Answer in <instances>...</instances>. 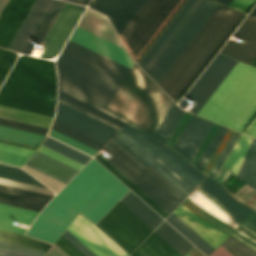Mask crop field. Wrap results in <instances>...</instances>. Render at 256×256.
Segmentation results:
<instances>
[{
  "label": "crop field",
  "instance_id": "crop-field-1",
  "mask_svg": "<svg viewBox=\"0 0 256 256\" xmlns=\"http://www.w3.org/2000/svg\"><path fill=\"white\" fill-rule=\"evenodd\" d=\"M58 101L118 130L127 122L106 109L129 69L68 40L57 62ZM70 91L82 99L64 91Z\"/></svg>",
  "mask_w": 256,
  "mask_h": 256
},
{
  "label": "crop field",
  "instance_id": "crop-field-2",
  "mask_svg": "<svg viewBox=\"0 0 256 256\" xmlns=\"http://www.w3.org/2000/svg\"><path fill=\"white\" fill-rule=\"evenodd\" d=\"M242 15L243 13L220 4L163 77L158 85L175 102Z\"/></svg>",
  "mask_w": 256,
  "mask_h": 256
},
{
  "label": "crop field",
  "instance_id": "crop-field-3",
  "mask_svg": "<svg viewBox=\"0 0 256 256\" xmlns=\"http://www.w3.org/2000/svg\"><path fill=\"white\" fill-rule=\"evenodd\" d=\"M54 62L20 56L0 90V104L54 117Z\"/></svg>",
  "mask_w": 256,
  "mask_h": 256
},
{
  "label": "crop field",
  "instance_id": "crop-field-4",
  "mask_svg": "<svg viewBox=\"0 0 256 256\" xmlns=\"http://www.w3.org/2000/svg\"><path fill=\"white\" fill-rule=\"evenodd\" d=\"M218 5L212 0H188L140 60L138 64L157 84Z\"/></svg>",
  "mask_w": 256,
  "mask_h": 256
},
{
  "label": "crop field",
  "instance_id": "crop-field-5",
  "mask_svg": "<svg viewBox=\"0 0 256 256\" xmlns=\"http://www.w3.org/2000/svg\"><path fill=\"white\" fill-rule=\"evenodd\" d=\"M153 85L170 101H168ZM108 106L107 110L123 117L141 129L153 135L154 131L165 117L172 101L161 91V89L141 70L136 64Z\"/></svg>",
  "mask_w": 256,
  "mask_h": 256
},
{
  "label": "crop field",
  "instance_id": "crop-field-6",
  "mask_svg": "<svg viewBox=\"0 0 256 256\" xmlns=\"http://www.w3.org/2000/svg\"><path fill=\"white\" fill-rule=\"evenodd\" d=\"M128 191L92 159L58 196L96 224Z\"/></svg>",
  "mask_w": 256,
  "mask_h": 256
},
{
  "label": "crop field",
  "instance_id": "crop-field-7",
  "mask_svg": "<svg viewBox=\"0 0 256 256\" xmlns=\"http://www.w3.org/2000/svg\"><path fill=\"white\" fill-rule=\"evenodd\" d=\"M256 113V69L240 63L200 116L239 132Z\"/></svg>",
  "mask_w": 256,
  "mask_h": 256
},
{
  "label": "crop field",
  "instance_id": "crop-field-8",
  "mask_svg": "<svg viewBox=\"0 0 256 256\" xmlns=\"http://www.w3.org/2000/svg\"><path fill=\"white\" fill-rule=\"evenodd\" d=\"M116 136L186 196L205 177V175L196 171L180 154L131 123H127ZM155 159L171 171L191 190Z\"/></svg>",
  "mask_w": 256,
  "mask_h": 256
},
{
  "label": "crop field",
  "instance_id": "crop-field-9",
  "mask_svg": "<svg viewBox=\"0 0 256 256\" xmlns=\"http://www.w3.org/2000/svg\"><path fill=\"white\" fill-rule=\"evenodd\" d=\"M179 0H147L121 33L136 58Z\"/></svg>",
  "mask_w": 256,
  "mask_h": 256
},
{
  "label": "crop field",
  "instance_id": "crop-field-10",
  "mask_svg": "<svg viewBox=\"0 0 256 256\" xmlns=\"http://www.w3.org/2000/svg\"><path fill=\"white\" fill-rule=\"evenodd\" d=\"M97 226L128 254L153 231L120 202Z\"/></svg>",
  "mask_w": 256,
  "mask_h": 256
},
{
  "label": "crop field",
  "instance_id": "crop-field-11",
  "mask_svg": "<svg viewBox=\"0 0 256 256\" xmlns=\"http://www.w3.org/2000/svg\"><path fill=\"white\" fill-rule=\"evenodd\" d=\"M236 63L237 61L218 54L213 62L209 65V67L205 70V72L201 75V77L197 80V82L193 85V87L189 90V92L185 95V97L181 100L179 103L180 107L185 108L187 104L193 100L197 103L192 107L190 111L197 114L209 99V97L225 79L228 73L236 65ZM238 64L239 62L222 82V84L218 87V89L214 92V94L210 97L203 108L199 111L198 115L215 95V93L219 90V88L223 85V83L227 80L234 69L238 66Z\"/></svg>",
  "mask_w": 256,
  "mask_h": 256
},
{
  "label": "crop field",
  "instance_id": "crop-field-12",
  "mask_svg": "<svg viewBox=\"0 0 256 256\" xmlns=\"http://www.w3.org/2000/svg\"><path fill=\"white\" fill-rule=\"evenodd\" d=\"M79 212L55 196L26 234L54 244Z\"/></svg>",
  "mask_w": 256,
  "mask_h": 256
},
{
  "label": "crop field",
  "instance_id": "crop-field-13",
  "mask_svg": "<svg viewBox=\"0 0 256 256\" xmlns=\"http://www.w3.org/2000/svg\"><path fill=\"white\" fill-rule=\"evenodd\" d=\"M55 120L80 131L104 144L111 138L117 143L124 151H126L133 159H135L141 166L147 171L151 167L142 158H140L135 152H133L127 145H125L116 136L113 138L117 130L94 120L72 108H69L58 102L57 113Z\"/></svg>",
  "mask_w": 256,
  "mask_h": 256
},
{
  "label": "crop field",
  "instance_id": "crop-field-14",
  "mask_svg": "<svg viewBox=\"0 0 256 256\" xmlns=\"http://www.w3.org/2000/svg\"><path fill=\"white\" fill-rule=\"evenodd\" d=\"M66 230L96 256H128L80 213Z\"/></svg>",
  "mask_w": 256,
  "mask_h": 256
},
{
  "label": "crop field",
  "instance_id": "crop-field-15",
  "mask_svg": "<svg viewBox=\"0 0 256 256\" xmlns=\"http://www.w3.org/2000/svg\"><path fill=\"white\" fill-rule=\"evenodd\" d=\"M85 8L66 3L43 42V45L47 46L41 55L42 58H53L59 53Z\"/></svg>",
  "mask_w": 256,
  "mask_h": 256
},
{
  "label": "crop field",
  "instance_id": "crop-field-16",
  "mask_svg": "<svg viewBox=\"0 0 256 256\" xmlns=\"http://www.w3.org/2000/svg\"><path fill=\"white\" fill-rule=\"evenodd\" d=\"M136 185L169 214L186 197L153 168Z\"/></svg>",
  "mask_w": 256,
  "mask_h": 256
},
{
  "label": "crop field",
  "instance_id": "crop-field-17",
  "mask_svg": "<svg viewBox=\"0 0 256 256\" xmlns=\"http://www.w3.org/2000/svg\"><path fill=\"white\" fill-rule=\"evenodd\" d=\"M233 36L245 40L244 43L240 44L229 40L220 52L249 64L256 55V6ZM250 65L256 67V56Z\"/></svg>",
  "mask_w": 256,
  "mask_h": 256
},
{
  "label": "crop field",
  "instance_id": "crop-field-18",
  "mask_svg": "<svg viewBox=\"0 0 256 256\" xmlns=\"http://www.w3.org/2000/svg\"><path fill=\"white\" fill-rule=\"evenodd\" d=\"M146 0H96L91 8L108 16L118 36Z\"/></svg>",
  "mask_w": 256,
  "mask_h": 256
},
{
  "label": "crop field",
  "instance_id": "crop-field-19",
  "mask_svg": "<svg viewBox=\"0 0 256 256\" xmlns=\"http://www.w3.org/2000/svg\"><path fill=\"white\" fill-rule=\"evenodd\" d=\"M34 1H8L0 15V46L8 48Z\"/></svg>",
  "mask_w": 256,
  "mask_h": 256
},
{
  "label": "crop field",
  "instance_id": "crop-field-20",
  "mask_svg": "<svg viewBox=\"0 0 256 256\" xmlns=\"http://www.w3.org/2000/svg\"><path fill=\"white\" fill-rule=\"evenodd\" d=\"M197 188L212 199L239 224L253 211L233 199L220 184L209 177Z\"/></svg>",
  "mask_w": 256,
  "mask_h": 256
},
{
  "label": "crop field",
  "instance_id": "crop-field-21",
  "mask_svg": "<svg viewBox=\"0 0 256 256\" xmlns=\"http://www.w3.org/2000/svg\"><path fill=\"white\" fill-rule=\"evenodd\" d=\"M212 126L213 123L193 115L187 127L185 126L184 132L182 131L183 133L179 140L177 139L178 141L173 149L181 153L191 162L195 152L200 147Z\"/></svg>",
  "mask_w": 256,
  "mask_h": 256
},
{
  "label": "crop field",
  "instance_id": "crop-field-22",
  "mask_svg": "<svg viewBox=\"0 0 256 256\" xmlns=\"http://www.w3.org/2000/svg\"><path fill=\"white\" fill-rule=\"evenodd\" d=\"M71 40L131 69L133 62L125 52V50L98 38L77 27L76 31L71 37Z\"/></svg>",
  "mask_w": 256,
  "mask_h": 256
},
{
  "label": "crop field",
  "instance_id": "crop-field-23",
  "mask_svg": "<svg viewBox=\"0 0 256 256\" xmlns=\"http://www.w3.org/2000/svg\"><path fill=\"white\" fill-rule=\"evenodd\" d=\"M51 196L0 185V203L40 212Z\"/></svg>",
  "mask_w": 256,
  "mask_h": 256
},
{
  "label": "crop field",
  "instance_id": "crop-field-24",
  "mask_svg": "<svg viewBox=\"0 0 256 256\" xmlns=\"http://www.w3.org/2000/svg\"><path fill=\"white\" fill-rule=\"evenodd\" d=\"M215 249L229 235L205 223L183 203L173 212Z\"/></svg>",
  "mask_w": 256,
  "mask_h": 256
},
{
  "label": "crop field",
  "instance_id": "crop-field-25",
  "mask_svg": "<svg viewBox=\"0 0 256 256\" xmlns=\"http://www.w3.org/2000/svg\"><path fill=\"white\" fill-rule=\"evenodd\" d=\"M65 2L51 0L45 9L43 15L29 36L27 42L21 50V53L29 54L34 48L36 43L42 44L48 30L62 10Z\"/></svg>",
  "mask_w": 256,
  "mask_h": 256
},
{
  "label": "crop field",
  "instance_id": "crop-field-26",
  "mask_svg": "<svg viewBox=\"0 0 256 256\" xmlns=\"http://www.w3.org/2000/svg\"><path fill=\"white\" fill-rule=\"evenodd\" d=\"M26 165L65 184L77 172V170L38 151H36Z\"/></svg>",
  "mask_w": 256,
  "mask_h": 256
},
{
  "label": "crop field",
  "instance_id": "crop-field-27",
  "mask_svg": "<svg viewBox=\"0 0 256 256\" xmlns=\"http://www.w3.org/2000/svg\"><path fill=\"white\" fill-rule=\"evenodd\" d=\"M103 149L113 156L107 160L134 184L147 172L112 140Z\"/></svg>",
  "mask_w": 256,
  "mask_h": 256
},
{
  "label": "crop field",
  "instance_id": "crop-field-28",
  "mask_svg": "<svg viewBox=\"0 0 256 256\" xmlns=\"http://www.w3.org/2000/svg\"><path fill=\"white\" fill-rule=\"evenodd\" d=\"M78 26L123 48L107 18L90 9H86Z\"/></svg>",
  "mask_w": 256,
  "mask_h": 256
},
{
  "label": "crop field",
  "instance_id": "crop-field-29",
  "mask_svg": "<svg viewBox=\"0 0 256 256\" xmlns=\"http://www.w3.org/2000/svg\"><path fill=\"white\" fill-rule=\"evenodd\" d=\"M50 0H36L32 6L30 12L22 23L20 29L18 30L16 36L11 42L9 49L20 52L24 43L26 42L28 36L42 15L44 9Z\"/></svg>",
  "mask_w": 256,
  "mask_h": 256
},
{
  "label": "crop field",
  "instance_id": "crop-field-30",
  "mask_svg": "<svg viewBox=\"0 0 256 256\" xmlns=\"http://www.w3.org/2000/svg\"><path fill=\"white\" fill-rule=\"evenodd\" d=\"M37 214V212L0 204V229L24 234L26 229L13 226L14 222L30 225Z\"/></svg>",
  "mask_w": 256,
  "mask_h": 256
},
{
  "label": "crop field",
  "instance_id": "crop-field-31",
  "mask_svg": "<svg viewBox=\"0 0 256 256\" xmlns=\"http://www.w3.org/2000/svg\"><path fill=\"white\" fill-rule=\"evenodd\" d=\"M153 230L163 221L152 209L129 191L120 201Z\"/></svg>",
  "mask_w": 256,
  "mask_h": 256
},
{
  "label": "crop field",
  "instance_id": "crop-field-32",
  "mask_svg": "<svg viewBox=\"0 0 256 256\" xmlns=\"http://www.w3.org/2000/svg\"><path fill=\"white\" fill-rule=\"evenodd\" d=\"M131 256H182L154 232Z\"/></svg>",
  "mask_w": 256,
  "mask_h": 256
},
{
  "label": "crop field",
  "instance_id": "crop-field-33",
  "mask_svg": "<svg viewBox=\"0 0 256 256\" xmlns=\"http://www.w3.org/2000/svg\"><path fill=\"white\" fill-rule=\"evenodd\" d=\"M0 116L47 127V128L50 127V124L53 119L51 117H47V116L19 110V109H15V108L3 106V105H0Z\"/></svg>",
  "mask_w": 256,
  "mask_h": 256
},
{
  "label": "crop field",
  "instance_id": "crop-field-34",
  "mask_svg": "<svg viewBox=\"0 0 256 256\" xmlns=\"http://www.w3.org/2000/svg\"><path fill=\"white\" fill-rule=\"evenodd\" d=\"M183 256L193 247L181 234H179L166 221H163L154 231Z\"/></svg>",
  "mask_w": 256,
  "mask_h": 256
},
{
  "label": "crop field",
  "instance_id": "crop-field-35",
  "mask_svg": "<svg viewBox=\"0 0 256 256\" xmlns=\"http://www.w3.org/2000/svg\"><path fill=\"white\" fill-rule=\"evenodd\" d=\"M166 221L170 223L175 229H177L182 235H184L207 256H209L215 250L173 213L166 219Z\"/></svg>",
  "mask_w": 256,
  "mask_h": 256
},
{
  "label": "crop field",
  "instance_id": "crop-field-36",
  "mask_svg": "<svg viewBox=\"0 0 256 256\" xmlns=\"http://www.w3.org/2000/svg\"><path fill=\"white\" fill-rule=\"evenodd\" d=\"M237 176L256 188V139L254 138Z\"/></svg>",
  "mask_w": 256,
  "mask_h": 256
},
{
  "label": "crop field",
  "instance_id": "crop-field-37",
  "mask_svg": "<svg viewBox=\"0 0 256 256\" xmlns=\"http://www.w3.org/2000/svg\"><path fill=\"white\" fill-rule=\"evenodd\" d=\"M0 241L47 252L52 246L26 235L0 230Z\"/></svg>",
  "mask_w": 256,
  "mask_h": 256
},
{
  "label": "crop field",
  "instance_id": "crop-field-38",
  "mask_svg": "<svg viewBox=\"0 0 256 256\" xmlns=\"http://www.w3.org/2000/svg\"><path fill=\"white\" fill-rule=\"evenodd\" d=\"M251 139V137L241 135L240 139L236 143L235 147L233 148L232 152L230 153L229 157L223 165L224 167L232 170L235 175L239 170V167L246 154Z\"/></svg>",
  "mask_w": 256,
  "mask_h": 256
},
{
  "label": "crop field",
  "instance_id": "crop-field-39",
  "mask_svg": "<svg viewBox=\"0 0 256 256\" xmlns=\"http://www.w3.org/2000/svg\"><path fill=\"white\" fill-rule=\"evenodd\" d=\"M0 137L39 146L45 136L0 126Z\"/></svg>",
  "mask_w": 256,
  "mask_h": 256
},
{
  "label": "crop field",
  "instance_id": "crop-field-40",
  "mask_svg": "<svg viewBox=\"0 0 256 256\" xmlns=\"http://www.w3.org/2000/svg\"><path fill=\"white\" fill-rule=\"evenodd\" d=\"M183 113V110L179 109L175 104H173L172 108L164 118L154 137L165 143Z\"/></svg>",
  "mask_w": 256,
  "mask_h": 256
},
{
  "label": "crop field",
  "instance_id": "crop-field-41",
  "mask_svg": "<svg viewBox=\"0 0 256 256\" xmlns=\"http://www.w3.org/2000/svg\"><path fill=\"white\" fill-rule=\"evenodd\" d=\"M51 128L72 138V139H75V140H77V141L97 150V151H99L104 146V144H102V143L82 134V133H79V132H77V131H75V130L55 121V120L53 121Z\"/></svg>",
  "mask_w": 256,
  "mask_h": 256
},
{
  "label": "crop field",
  "instance_id": "crop-field-42",
  "mask_svg": "<svg viewBox=\"0 0 256 256\" xmlns=\"http://www.w3.org/2000/svg\"><path fill=\"white\" fill-rule=\"evenodd\" d=\"M0 177L45 187L21 169L0 164Z\"/></svg>",
  "mask_w": 256,
  "mask_h": 256
},
{
  "label": "crop field",
  "instance_id": "crop-field-43",
  "mask_svg": "<svg viewBox=\"0 0 256 256\" xmlns=\"http://www.w3.org/2000/svg\"><path fill=\"white\" fill-rule=\"evenodd\" d=\"M43 145L55 150V151H58L68 157H71L83 164H85L89 159L90 157L77 151V150H74L64 144H61L49 137L46 138V140L44 141Z\"/></svg>",
  "mask_w": 256,
  "mask_h": 256
},
{
  "label": "crop field",
  "instance_id": "crop-field-44",
  "mask_svg": "<svg viewBox=\"0 0 256 256\" xmlns=\"http://www.w3.org/2000/svg\"><path fill=\"white\" fill-rule=\"evenodd\" d=\"M232 256H256V252L233 237H229L221 245Z\"/></svg>",
  "mask_w": 256,
  "mask_h": 256
},
{
  "label": "crop field",
  "instance_id": "crop-field-45",
  "mask_svg": "<svg viewBox=\"0 0 256 256\" xmlns=\"http://www.w3.org/2000/svg\"><path fill=\"white\" fill-rule=\"evenodd\" d=\"M226 131H227V128H224V127L220 126L217 133L215 134V136L211 140L210 144L206 148L205 152L203 153V155L199 159V161H198V163L196 164L195 167L197 169H199L201 172H202L203 168L205 167V165L207 164L208 160L210 159L211 155L215 151V149L218 146L219 142L221 141L222 137L226 133Z\"/></svg>",
  "mask_w": 256,
  "mask_h": 256
},
{
  "label": "crop field",
  "instance_id": "crop-field-46",
  "mask_svg": "<svg viewBox=\"0 0 256 256\" xmlns=\"http://www.w3.org/2000/svg\"><path fill=\"white\" fill-rule=\"evenodd\" d=\"M16 57L17 54L13 51L0 48V86L13 65Z\"/></svg>",
  "mask_w": 256,
  "mask_h": 256
},
{
  "label": "crop field",
  "instance_id": "crop-field-47",
  "mask_svg": "<svg viewBox=\"0 0 256 256\" xmlns=\"http://www.w3.org/2000/svg\"><path fill=\"white\" fill-rule=\"evenodd\" d=\"M185 205H187L191 210H193L196 214H198L200 217H202L207 222L221 228L222 230L228 232L231 234L233 229L227 227L223 222L213 218L211 215H209L207 212H205L203 209L197 207L193 202H191L188 198L183 202ZM193 212V213H194Z\"/></svg>",
  "mask_w": 256,
  "mask_h": 256
},
{
  "label": "crop field",
  "instance_id": "crop-field-48",
  "mask_svg": "<svg viewBox=\"0 0 256 256\" xmlns=\"http://www.w3.org/2000/svg\"><path fill=\"white\" fill-rule=\"evenodd\" d=\"M234 134H235V131H232V130L228 129L227 133L225 134V136L222 139L221 143L219 144L218 148L216 149V151L214 152L210 161L208 162L207 166L205 167L203 173L209 175L212 168L214 167V165L218 161L219 157L221 156V154L225 150L226 146L228 145V143L230 142V140L232 139Z\"/></svg>",
  "mask_w": 256,
  "mask_h": 256
},
{
  "label": "crop field",
  "instance_id": "crop-field-49",
  "mask_svg": "<svg viewBox=\"0 0 256 256\" xmlns=\"http://www.w3.org/2000/svg\"><path fill=\"white\" fill-rule=\"evenodd\" d=\"M0 125L13 127V128H17V129H22V130H26V131H31V132H35V133H40V134H44V135H46L49 130L47 128H43V127L31 125V124H26V123H22V122L10 120V119H5V118H1V117H0Z\"/></svg>",
  "mask_w": 256,
  "mask_h": 256
},
{
  "label": "crop field",
  "instance_id": "crop-field-50",
  "mask_svg": "<svg viewBox=\"0 0 256 256\" xmlns=\"http://www.w3.org/2000/svg\"><path fill=\"white\" fill-rule=\"evenodd\" d=\"M48 135L66 143L68 145H71V146H73V147L91 155V156H94L97 153V151H95V150H93V149H91V148H89V147H87V146H85V145H83V144H81L77 141H74V140H72V139H70V138L52 130V129L50 130Z\"/></svg>",
  "mask_w": 256,
  "mask_h": 256
},
{
  "label": "crop field",
  "instance_id": "crop-field-51",
  "mask_svg": "<svg viewBox=\"0 0 256 256\" xmlns=\"http://www.w3.org/2000/svg\"><path fill=\"white\" fill-rule=\"evenodd\" d=\"M38 151H40V152H42V153H44L48 156H51V157L65 163V164L77 169V170H79L83 166V164H81V163H79V162H77V161H75L71 158H68V157H66V156H64V155H62L58 152H55V151H53V150H51V149H49V148H47L43 145L40 146Z\"/></svg>",
  "mask_w": 256,
  "mask_h": 256
},
{
  "label": "crop field",
  "instance_id": "crop-field-52",
  "mask_svg": "<svg viewBox=\"0 0 256 256\" xmlns=\"http://www.w3.org/2000/svg\"><path fill=\"white\" fill-rule=\"evenodd\" d=\"M0 183L53 196V193L49 189L38 187V186H33V185L16 182L8 179H3V178H0Z\"/></svg>",
  "mask_w": 256,
  "mask_h": 256
},
{
  "label": "crop field",
  "instance_id": "crop-field-53",
  "mask_svg": "<svg viewBox=\"0 0 256 256\" xmlns=\"http://www.w3.org/2000/svg\"><path fill=\"white\" fill-rule=\"evenodd\" d=\"M134 193H136L142 200H144L150 207H152L158 214H160L163 218H166L169 214L164 211L158 204H156L149 196H147L141 189H139L136 185L132 189Z\"/></svg>",
  "mask_w": 256,
  "mask_h": 256
},
{
  "label": "crop field",
  "instance_id": "crop-field-54",
  "mask_svg": "<svg viewBox=\"0 0 256 256\" xmlns=\"http://www.w3.org/2000/svg\"><path fill=\"white\" fill-rule=\"evenodd\" d=\"M0 151L27 157V158H30L31 155L34 153L33 150H29V149L9 145V144H4V143H0Z\"/></svg>",
  "mask_w": 256,
  "mask_h": 256
},
{
  "label": "crop field",
  "instance_id": "crop-field-55",
  "mask_svg": "<svg viewBox=\"0 0 256 256\" xmlns=\"http://www.w3.org/2000/svg\"><path fill=\"white\" fill-rule=\"evenodd\" d=\"M98 161H100L107 169H109L115 176H117L124 184H126L129 188H131L134 184L129 181L122 173H120L113 165H111L104 157H102L99 153L95 157ZM99 162V163H100Z\"/></svg>",
  "mask_w": 256,
  "mask_h": 256
},
{
  "label": "crop field",
  "instance_id": "crop-field-56",
  "mask_svg": "<svg viewBox=\"0 0 256 256\" xmlns=\"http://www.w3.org/2000/svg\"><path fill=\"white\" fill-rule=\"evenodd\" d=\"M27 158L19 157V156H14L6 153H1L0 152V162L17 166V167H22V165L27 161Z\"/></svg>",
  "mask_w": 256,
  "mask_h": 256
},
{
  "label": "crop field",
  "instance_id": "crop-field-57",
  "mask_svg": "<svg viewBox=\"0 0 256 256\" xmlns=\"http://www.w3.org/2000/svg\"><path fill=\"white\" fill-rule=\"evenodd\" d=\"M59 246L64 252H66L69 256H84L80 253L74 246H72L66 239L62 236L59 240L55 243Z\"/></svg>",
  "mask_w": 256,
  "mask_h": 256
},
{
  "label": "crop field",
  "instance_id": "crop-field-58",
  "mask_svg": "<svg viewBox=\"0 0 256 256\" xmlns=\"http://www.w3.org/2000/svg\"><path fill=\"white\" fill-rule=\"evenodd\" d=\"M62 236L64 238H66L72 245H74L85 256H95L86 247H84L78 240H76L70 233H68L66 230Z\"/></svg>",
  "mask_w": 256,
  "mask_h": 256
},
{
  "label": "crop field",
  "instance_id": "crop-field-59",
  "mask_svg": "<svg viewBox=\"0 0 256 256\" xmlns=\"http://www.w3.org/2000/svg\"><path fill=\"white\" fill-rule=\"evenodd\" d=\"M0 247L10 249V250H14V251L27 253V254H32V255H36V256H44V254H45L44 253L45 251L40 252V251H36V250H32V249H28V248H24V247H20V246H15V245L3 243V242H0Z\"/></svg>",
  "mask_w": 256,
  "mask_h": 256
},
{
  "label": "crop field",
  "instance_id": "crop-field-60",
  "mask_svg": "<svg viewBox=\"0 0 256 256\" xmlns=\"http://www.w3.org/2000/svg\"><path fill=\"white\" fill-rule=\"evenodd\" d=\"M254 1L255 0H232L229 6L246 13Z\"/></svg>",
  "mask_w": 256,
  "mask_h": 256
},
{
  "label": "crop field",
  "instance_id": "crop-field-61",
  "mask_svg": "<svg viewBox=\"0 0 256 256\" xmlns=\"http://www.w3.org/2000/svg\"><path fill=\"white\" fill-rule=\"evenodd\" d=\"M239 136V133L236 132V134L234 135L233 139L231 140V142L229 143V145L227 146L226 150L224 151V153L222 154V156L220 157L219 161L217 162V164L215 165V167L213 168L212 172L210 173V176L214 177L215 173L217 172V170L219 169L220 165L222 164V162L224 161L225 157L227 156L228 152L230 151V149L232 148L233 144L235 143V141L237 140Z\"/></svg>",
  "mask_w": 256,
  "mask_h": 256
},
{
  "label": "crop field",
  "instance_id": "crop-field-62",
  "mask_svg": "<svg viewBox=\"0 0 256 256\" xmlns=\"http://www.w3.org/2000/svg\"><path fill=\"white\" fill-rule=\"evenodd\" d=\"M241 226L256 236V213L254 212Z\"/></svg>",
  "mask_w": 256,
  "mask_h": 256
},
{
  "label": "crop field",
  "instance_id": "crop-field-63",
  "mask_svg": "<svg viewBox=\"0 0 256 256\" xmlns=\"http://www.w3.org/2000/svg\"><path fill=\"white\" fill-rule=\"evenodd\" d=\"M244 134H247L249 136L256 138V117L252 121V123L248 126V128L245 130Z\"/></svg>",
  "mask_w": 256,
  "mask_h": 256
},
{
  "label": "crop field",
  "instance_id": "crop-field-64",
  "mask_svg": "<svg viewBox=\"0 0 256 256\" xmlns=\"http://www.w3.org/2000/svg\"><path fill=\"white\" fill-rule=\"evenodd\" d=\"M0 256H32L0 248Z\"/></svg>",
  "mask_w": 256,
  "mask_h": 256
},
{
  "label": "crop field",
  "instance_id": "crop-field-65",
  "mask_svg": "<svg viewBox=\"0 0 256 256\" xmlns=\"http://www.w3.org/2000/svg\"><path fill=\"white\" fill-rule=\"evenodd\" d=\"M46 256H68V255L64 253L59 247L54 245L53 248L48 252Z\"/></svg>",
  "mask_w": 256,
  "mask_h": 256
},
{
  "label": "crop field",
  "instance_id": "crop-field-66",
  "mask_svg": "<svg viewBox=\"0 0 256 256\" xmlns=\"http://www.w3.org/2000/svg\"><path fill=\"white\" fill-rule=\"evenodd\" d=\"M0 142L9 143V144H13V145H17V146L33 149V150H36V148H37L36 146H32V145H28V144H23V143L11 141V140H6V139H2V138H0Z\"/></svg>",
  "mask_w": 256,
  "mask_h": 256
},
{
  "label": "crop field",
  "instance_id": "crop-field-67",
  "mask_svg": "<svg viewBox=\"0 0 256 256\" xmlns=\"http://www.w3.org/2000/svg\"><path fill=\"white\" fill-rule=\"evenodd\" d=\"M235 231H237L238 233L242 234L243 236H245L246 238H248L249 240L253 241L254 243H256V237H254L253 235H251L250 233H248L247 231H245L244 229L238 227Z\"/></svg>",
  "mask_w": 256,
  "mask_h": 256
},
{
  "label": "crop field",
  "instance_id": "crop-field-68",
  "mask_svg": "<svg viewBox=\"0 0 256 256\" xmlns=\"http://www.w3.org/2000/svg\"><path fill=\"white\" fill-rule=\"evenodd\" d=\"M210 256H231L220 246Z\"/></svg>",
  "mask_w": 256,
  "mask_h": 256
},
{
  "label": "crop field",
  "instance_id": "crop-field-69",
  "mask_svg": "<svg viewBox=\"0 0 256 256\" xmlns=\"http://www.w3.org/2000/svg\"><path fill=\"white\" fill-rule=\"evenodd\" d=\"M231 235L235 236L236 238H238L239 240L243 241L244 243H246L247 245L251 246L252 248H254L256 250V245L251 243L247 239L241 237L240 235H238V234H236L234 232Z\"/></svg>",
  "mask_w": 256,
  "mask_h": 256
},
{
  "label": "crop field",
  "instance_id": "crop-field-70",
  "mask_svg": "<svg viewBox=\"0 0 256 256\" xmlns=\"http://www.w3.org/2000/svg\"><path fill=\"white\" fill-rule=\"evenodd\" d=\"M64 1H68V2H72V3L87 6L91 0H64Z\"/></svg>",
  "mask_w": 256,
  "mask_h": 256
},
{
  "label": "crop field",
  "instance_id": "crop-field-71",
  "mask_svg": "<svg viewBox=\"0 0 256 256\" xmlns=\"http://www.w3.org/2000/svg\"><path fill=\"white\" fill-rule=\"evenodd\" d=\"M8 0H0V13Z\"/></svg>",
  "mask_w": 256,
  "mask_h": 256
},
{
  "label": "crop field",
  "instance_id": "crop-field-72",
  "mask_svg": "<svg viewBox=\"0 0 256 256\" xmlns=\"http://www.w3.org/2000/svg\"><path fill=\"white\" fill-rule=\"evenodd\" d=\"M217 1L222 2V3L226 4V5H228L231 0H217Z\"/></svg>",
  "mask_w": 256,
  "mask_h": 256
},
{
  "label": "crop field",
  "instance_id": "crop-field-73",
  "mask_svg": "<svg viewBox=\"0 0 256 256\" xmlns=\"http://www.w3.org/2000/svg\"><path fill=\"white\" fill-rule=\"evenodd\" d=\"M186 256H189L188 254Z\"/></svg>",
  "mask_w": 256,
  "mask_h": 256
}]
</instances>
